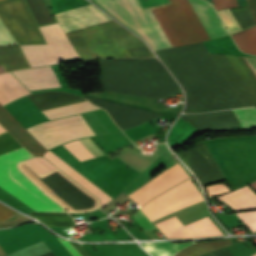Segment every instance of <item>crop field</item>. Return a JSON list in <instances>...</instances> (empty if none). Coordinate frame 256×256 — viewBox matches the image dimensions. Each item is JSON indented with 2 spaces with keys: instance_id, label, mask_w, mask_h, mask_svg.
I'll list each match as a JSON object with an SVG mask.
<instances>
[{
  "instance_id": "crop-field-1",
  "label": "crop field",
  "mask_w": 256,
  "mask_h": 256,
  "mask_svg": "<svg viewBox=\"0 0 256 256\" xmlns=\"http://www.w3.org/2000/svg\"><path fill=\"white\" fill-rule=\"evenodd\" d=\"M102 69L101 85L106 91L168 98L176 96L181 89L168 71L156 58L148 59H99ZM93 104L104 108L124 130L156 119L163 115L150 110L125 105L119 102L87 97Z\"/></svg>"
},
{
  "instance_id": "crop-field-2",
  "label": "crop field",
  "mask_w": 256,
  "mask_h": 256,
  "mask_svg": "<svg viewBox=\"0 0 256 256\" xmlns=\"http://www.w3.org/2000/svg\"><path fill=\"white\" fill-rule=\"evenodd\" d=\"M122 23L144 38L154 50L210 39L188 0L143 9L138 0H97Z\"/></svg>"
},
{
  "instance_id": "crop-field-3",
  "label": "crop field",
  "mask_w": 256,
  "mask_h": 256,
  "mask_svg": "<svg viewBox=\"0 0 256 256\" xmlns=\"http://www.w3.org/2000/svg\"><path fill=\"white\" fill-rule=\"evenodd\" d=\"M156 53L186 91L184 112L203 113L243 107L208 56L209 51L203 43Z\"/></svg>"
},
{
  "instance_id": "crop-field-4",
  "label": "crop field",
  "mask_w": 256,
  "mask_h": 256,
  "mask_svg": "<svg viewBox=\"0 0 256 256\" xmlns=\"http://www.w3.org/2000/svg\"><path fill=\"white\" fill-rule=\"evenodd\" d=\"M63 29L69 30L110 19L92 4L54 15ZM81 60L94 57H130L127 49L145 45L114 20H106L64 32Z\"/></svg>"
},
{
  "instance_id": "crop-field-5",
  "label": "crop field",
  "mask_w": 256,
  "mask_h": 256,
  "mask_svg": "<svg viewBox=\"0 0 256 256\" xmlns=\"http://www.w3.org/2000/svg\"><path fill=\"white\" fill-rule=\"evenodd\" d=\"M30 157L33 156L24 148L0 156V172L16 167L18 162ZM0 182L35 211L65 212L59 204L41 192L18 167L1 172Z\"/></svg>"
},
{
  "instance_id": "crop-field-6",
  "label": "crop field",
  "mask_w": 256,
  "mask_h": 256,
  "mask_svg": "<svg viewBox=\"0 0 256 256\" xmlns=\"http://www.w3.org/2000/svg\"><path fill=\"white\" fill-rule=\"evenodd\" d=\"M226 81L229 83L244 107L256 106V57H237L230 55L209 54Z\"/></svg>"
},
{
  "instance_id": "crop-field-7",
  "label": "crop field",
  "mask_w": 256,
  "mask_h": 256,
  "mask_svg": "<svg viewBox=\"0 0 256 256\" xmlns=\"http://www.w3.org/2000/svg\"><path fill=\"white\" fill-rule=\"evenodd\" d=\"M48 45L20 46L31 67L55 64L56 59L78 57L58 23L40 27Z\"/></svg>"
},
{
  "instance_id": "crop-field-8",
  "label": "crop field",
  "mask_w": 256,
  "mask_h": 256,
  "mask_svg": "<svg viewBox=\"0 0 256 256\" xmlns=\"http://www.w3.org/2000/svg\"><path fill=\"white\" fill-rule=\"evenodd\" d=\"M27 131L47 150L75 138L95 135L80 114L47 121Z\"/></svg>"
},
{
  "instance_id": "crop-field-9",
  "label": "crop field",
  "mask_w": 256,
  "mask_h": 256,
  "mask_svg": "<svg viewBox=\"0 0 256 256\" xmlns=\"http://www.w3.org/2000/svg\"><path fill=\"white\" fill-rule=\"evenodd\" d=\"M0 17L19 44L46 43L24 0L1 1Z\"/></svg>"
},
{
  "instance_id": "crop-field-10",
  "label": "crop field",
  "mask_w": 256,
  "mask_h": 256,
  "mask_svg": "<svg viewBox=\"0 0 256 256\" xmlns=\"http://www.w3.org/2000/svg\"><path fill=\"white\" fill-rule=\"evenodd\" d=\"M191 243L171 244L169 242L141 243L152 256H167ZM230 238L193 243L169 256H199L218 248L232 245Z\"/></svg>"
},
{
  "instance_id": "crop-field-11",
  "label": "crop field",
  "mask_w": 256,
  "mask_h": 256,
  "mask_svg": "<svg viewBox=\"0 0 256 256\" xmlns=\"http://www.w3.org/2000/svg\"><path fill=\"white\" fill-rule=\"evenodd\" d=\"M213 222V221H212ZM206 217L187 226L175 217L156 224L167 238H202L223 235L220 230Z\"/></svg>"
},
{
  "instance_id": "crop-field-12",
  "label": "crop field",
  "mask_w": 256,
  "mask_h": 256,
  "mask_svg": "<svg viewBox=\"0 0 256 256\" xmlns=\"http://www.w3.org/2000/svg\"><path fill=\"white\" fill-rule=\"evenodd\" d=\"M179 153L193 170L201 185L224 179L202 142L190 150Z\"/></svg>"
},
{
  "instance_id": "crop-field-13",
  "label": "crop field",
  "mask_w": 256,
  "mask_h": 256,
  "mask_svg": "<svg viewBox=\"0 0 256 256\" xmlns=\"http://www.w3.org/2000/svg\"><path fill=\"white\" fill-rule=\"evenodd\" d=\"M180 117L191 123L201 132L211 130H233L232 127L241 128L232 110L198 115L183 114Z\"/></svg>"
},
{
  "instance_id": "crop-field-14",
  "label": "crop field",
  "mask_w": 256,
  "mask_h": 256,
  "mask_svg": "<svg viewBox=\"0 0 256 256\" xmlns=\"http://www.w3.org/2000/svg\"><path fill=\"white\" fill-rule=\"evenodd\" d=\"M0 123L33 155L43 156L46 150L0 105Z\"/></svg>"
},
{
  "instance_id": "crop-field-15",
  "label": "crop field",
  "mask_w": 256,
  "mask_h": 256,
  "mask_svg": "<svg viewBox=\"0 0 256 256\" xmlns=\"http://www.w3.org/2000/svg\"><path fill=\"white\" fill-rule=\"evenodd\" d=\"M13 73L29 90L61 87L50 66L19 70Z\"/></svg>"
},
{
  "instance_id": "crop-field-16",
  "label": "crop field",
  "mask_w": 256,
  "mask_h": 256,
  "mask_svg": "<svg viewBox=\"0 0 256 256\" xmlns=\"http://www.w3.org/2000/svg\"><path fill=\"white\" fill-rule=\"evenodd\" d=\"M209 33L211 39L228 35L211 4L202 0H189Z\"/></svg>"
},
{
  "instance_id": "crop-field-17",
  "label": "crop field",
  "mask_w": 256,
  "mask_h": 256,
  "mask_svg": "<svg viewBox=\"0 0 256 256\" xmlns=\"http://www.w3.org/2000/svg\"><path fill=\"white\" fill-rule=\"evenodd\" d=\"M44 157L51 161L53 164H55L66 175L76 181L87 191L98 197L101 200L100 207L112 199L50 150L45 154Z\"/></svg>"
},
{
  "instance_id": "crop-field-18",
  "label": "crop field",
  "mask_w": 256,
  "mask_h": 256,
  "mask_svg": "<svg viewBox=\"0 0 256 256\" xmlns=\"http://www.w3.org/2000/svg\"><path fill=\"white\" fill-rule=\"evenodd\" d=\"M41 111L69 105L85 99L75 96L73 94L62 92H51L27 96Z\"/></svg>"
},
{
  "instance_id": "crop-field-19",
  "label": "crop field",
  "mask_w": 256,
  "mask_h": 256,
  "mask_svg": "<svg viewBox=\"0 0 256 256\" xmlns=\"http://www.w3.org/2000/svg\"><path fill=\"white\" fill-rule=\"evenodd\" d=\"M230 11L239 23L242 30L255 24L247 6L232 8L230 9ZM230 11L229 9H225L219 10L217 12L221 16L225 27L227 26V30L229 31V33L233 34L241 31V28L239 27L238 23L236 22Z\"/></svg>"
},
{
  "instance_id": "crop-field-20",
  "label": "crop field",
  "mask_w": 256,
  "mask_h": 256,
  "mask_svg": "<svg viewBox=\"0 0 256 256\" xmlns=\"http://www.w3.org/2000/svg\"><path fill=\"white\" fill-rule=\"evenodd\" d=\"M234 211L256 208V195L247 187L220 196Z\"/></svg>"
},
{
  "instance_id": "crop-field-21",
  "label": "crop field",
  "mask_w": 256,
  "mask_h": 256,
  "mask_svg": "<svg viewBox=\"0 0 256 256\" xmlns=\"http://www.w3.org/2000/svg\"><path fill=\"white\" fill-rule=\"evenodd\" d=\"M0 65L6 72L29 67L19 46H0Z\"/></svg>"
},
{
  "instance_id": "crop-field-22",
  "label": "crop field",
  "mask_w": 256,
  "mask_h": 256,
  "mask_svg": "<svg viewBox=\"0 0 256 256\" xmlns=\"http://www.w3.org/2000/svg\"><path fill=\"white\" fill-rule=\"evenodd\" d=\"M85 143L98 155H104V153L92 142L90 138L83 139ZM83 140H76L64 146L72 152L80 161L86 160L97 156L84 142Z\"/></svg>"
},
{
  "instance_id": "crop-field-23",
  "label": "crop field",
  "mask_w": 256,
  "mask_h": 256,
  "mask_svg": "<svg viewBox=\"0 0 256 256\" xmlns=\"http://www.w3.org/2000/svg\"><path fill=\"white\" fill-rule=\"evenodd\" d=\"M235 43L244 52L256 55V25L232 35Z\"/></svg>"
},
{
  "instance_id": "crop-field-24",
  "label": "crop field",
  "mask_w": 256,
  "mask_h": 256,
  "mask_svg": "<svg viewBox=\"0 0 256 256\" xmlns=\"http://www.w3.org/2000/svg\"><path fill=\"white\" fill-rule=\"evenodd\" d=\"M94 109H99L98 107L94 106L88 101L65 106V107H60L48 111H44L43 113L49 118H58V117H63L75 113H82V112H87L89 110H94Z\"/></svg>"
},
{
  "instance_id": "crop-field-25",
  "label": "crop field",
  "mask_w": 256,
  "mask_h": 256,
  "mask_svg": "<svg viewBox=\"0 0 256 256\" xmlns=\"http://www.w3.org/2000/svg\"><path fill=\"white\" fill-rule=\"evenodd\" d=\"M0 84L15 98L30 94V92L10 73L0 75Z\"/></svg>"
},
{
  "instance_id": "crop-field-26",
  "label": "crop field",
  "mask_w": 256,
  "mask_h": 256,
  "mask_svg": "<svg viewBox=\"0 0 256 256\" xmlns=\"http://www.w3.org/2000/svg\"><path fill=\"white\" fill-rule=\"evenodd\" d=\"M243 127L256 126V108L234 110Z\"/></svg>"
},
{
  "instance_id": "crop-field-27",
  "label": "crop field",
  "mask_w": 256,
  "mask_h": 256,
  "mask_svg": "<svg viewBox=\"0 0 256 256\" xmlns=\"http://www.w3.org/2000/svg\"><path fill=\"white\" fill-rule=\"evenodd\" d=\"M32 168H34L41 175L55 169L56 167L49 163L42 157H36L26 161Z\"/></svg>"
},
{
  "instance_id": "crop-field-28",
  "label": "crop field",
  "mask_w": 256,
  "mask_h": 256,
  "mask_svg": "<svg viewBox=\"0 0 256 256\" xmlns=\"http://www.w3.org/2000/svg\"><path fill=\"white\" fill-rule=\"evenodd\" d=\"M132 217L142 227V229L145 232L155 229L154 225L150 222V220L146 217V215L142 212V210L137 212Z\"/></svg>"
},
{
  "instance_id": "crop-field-29",
  "label": "crop field",
  "mask_w": 256,
  "mask_h": 256,
  "mask_svg": "<svg viewBox=\"0 0 256 256\" xmlns=\"http://www.w3.org/2000/svg\"><path fill=\"white\" fill-rule=\"evenodd\" d=\"M17 42L14 40L10 32L0 20V45H14Z\"/></svg>"
},
{
  "instance_id": "crop-field-30",
  "label": "crop field",
  "mask_w": 256,
  "mask_h": 256,
  "mask_svg": "<svg viewBox=\"0 0 256 256\" xmlns=\"http://www.w3.org/2000/svg\"><path fill=\"white\" fill-rule=\"evenodd\" d=\"M18 215L20 214L0 203V221H6Z\"/></svg>"
},
{
  "instance_id": "crop-field-31",
  "label": "crop field",
  "mask_w": 256,
  "mask_h": 256,
  "mask_svg": "<svg viewBox=\"0 0 256 256\" xmlns=\"http://www.w3.org/2000/svg\"><path fill=\"white\" fill-rule=\"evenodd\" d=\"M216 10L237 7V0H212Z\"/></svg>"
},
{
  "instance_id": "crop-field-32",
  "label": "crop field",
  "mask_w": 256,
  "mask_h": 256,
  "mask_svg": "<svg viewBox=\"0 0 256 256\" xmlns=\"http://www.w3.org/2000/svg\"><path fill=\"white\" fill-rule=\"evenodd\" d=\"M132 57H152L153 55L146 46L129 50Z\"/></svg>"
},
{
  "instance_id": "crop-field-33",
  "label": "crop field",
  "mask_w": 256,
  "mask_h": 256,
  "mask_svg": "<svg viewBox=\"0 0 256 256\" xmlns=\"http://www.w3.org/2000/svg\"><path fill=\"white\" fill-rule=\"evenodd\" d=\"M247 3L250 7V10L256 23V0H247Z\"/></svg>"
},
{
  "instance_id": "crop-field-34",
  "label": "crop field",
  "mask_w": 256,
  "mask_h": 256,
  "mask_svg": "<svg viewBox=\"0 0 256 256\" xmlns=\"http://www.w3.org/2000/svg\"><path fill=\"white\" fill-rule=\"evenodd\" d=\"M60 239V238H59ZM60 241L67 247V249L74 255V256H80L78 254V252L71 246V244L66 241V240H62L60 239Z\"/></svg>"
},
{
  "instance_id": "crop-field-35",
  "label": "crop field",
  "mask_w": 256,
  "mask_h": 256,
  "mask_svg": "<svg viewBox=\"0 0 256 256\" xmlns=\"http://www.w3.org/2000/svg\"><path fill=\"white\" fill-rule=\"evenodd\" d=\"M6 132V130L0 125V134Z\"/></svg>"
},
{
  "instance_id": "crop-field-36",
  "label": "crop field",
  "mask_w": 256,
  "mask_h": 256,
  "mask_svg": "<svg viewBox=\"0 0 256 256\" xmlns=\"http://www.w3.org/2000/svg\"><path fill=\"white\" fill-rule=\"evenodd\" d=\"M250 185L256 190V181L255 182H252L250 183Z\"/></svg>"
},
{
  "instance_id": "crop-field-37",
  "label": "crop field",
  "mask_w": 256,
  "mask_h": 256,
  "mask_svg": "<svg viewBox=\"0 0 256 256\" xmlns=\"http://www.w3.org/2000/svg\"><path fill=\"white\" fill-rule=\"evenodd\" d=\"M2 72H5V71H4L3 67L0 66V73H2Z\"/></svg>"
},
{
  "instance_id": "crop-field-38",
  "label": "crop field",
  "mask_w": 256,
  "mask_h": 256,
  "mask_svg": "<svg viewBox=\"0 0 256 256\" xmlns=\"http://www.w3.org/2000/svg\"><path fill=\"white\" fill-rule=\"evenodd\" d=\"M254 256H256V255H254Z\"/></svg>"
}]
</instances>
